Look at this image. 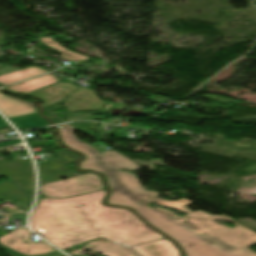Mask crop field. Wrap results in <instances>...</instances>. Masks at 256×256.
Instances as JSON below:
<instances>
[{"label": "crop field", "mask_w": 256, "mask_h": 256, "mask_svg": "<svg viewBox=\"0 0 256 256\" xmlns=\"http://www.w3.org/2000/svg\"><path fill=\"white\" fill-rule=\"evenodd\" d=\"M12 233V235H10ZM9 234L0 237V243L5 244L6 246L22 252L27 255H40L46 253L56 252L50 245L43 241L31 242L27 238L34 236L28 229H16ZM27 241L30 245L23 243L22 241Z\"/></svg>", "instance_id": "dd49c442"}, {"label": "crop field", "mask_w": 256, "mask_h": 256, "mask_svg": "<svg viewBox=\"0 0 256 256\" xmlns=\"http://www.w3.org/2000/svg\"><path fill=\"white\" fill-rule=\"evenodd\" d=\"M90 245H94V246H96V248L92 249V248L89 247ZM85 246L87 247V249H92L96 252H99L101 250L108 249L110 247L116 246V244H113V243H110V242H105V241H92V242L86 244Z\"/></svg>", "instance_id": "733c2abd"}, {"label": "crop field", "mask_w": 256, "mask_h": 256, "mask_svg": "<svg viewBox=\"0 0 256 256\" xmlns=\"http://www.w3.org/2000/svg\"><path fill=\"white\" fill-rule=\"evenodd\" d=\"M16 201L20 200L28 207L31 206L32 197L22 190L19 185L13 181L0 183V201Z\"/></svg>", "instance_id": "5a996713"}, {"label": "crop field", "mask_w": 256, "mask_h": 256, "mask_svg": "<svg viewBox=\"0 0 256 256\" xmlns=\"http://www.w3.org/2000/svg\"><path fill=\"white\" fill-rule=\"evenodd\" d=\"M60 157L58 159H53L50 161L37 162L39 172L42 173L40 176V183H48L52 181L60 180L55 174L58 173L62 177L70 178L74 176H78L85 173L73 172L65 167L66 164L75 161L79 158L78 155L68 151L61 150Z\"/></svg>", "instance_id": "f4fd0767"}, {"label": "crop field", "mask_w": 256, "mask_h": 256, "mask_svg": "<svg viewBox=\"0 0 256 256\" xmlns=\"http://www.w3.org/2000/svg\"><path fill=\"white\" fill-rule=\"evenodd\" d=\"M132 248L140 256H179V250L166 239L133 246Z\"/></svg>", "instance_id": "d8731c3e"}, {"label": "crop field", "mask_w": 256, "mask_h": 256, "mask_svg": "<svg viewBox=\"0 0 256 256\" xmlns=\"http://www.w3.org/2000/svg\"><path fill=\"white\" fill-rule=\"evenodd\" d=\"M109 165L117 169L139 170L140 166L116 151L103 152Z\"/></svg>", "instance_id": "cbeb9de0"}, {"label": "crop field", "mask_w": 256, "mask_h": 256, "mask_svg": "<svg viewBox=\"0 0 256 256\" xmlns=\"http://www.w3.org/2000/svg\"><path fill=\"white\" fill-rule=\"evenodd\" d=\"M105 194L43 198L31 216L32 227L63 250L100 236L129 246L163 238L129 210L102 206Z\"/></svg>", "instance_id": "ac0d7876"}, {"label": "crop field", "mask_w": 256, "mask_h": 256, "mask_svg": "<svg viewBox=\"0 0 256 256\" xmlns=\"http://www.w3.org/2000/svg\"><path fill=\"white\" fill-rule=\"evenodd\" d=\"M51 144H55L54 141H40V142L28 143L29 147L39 146V145H51Z\"/></svg>", "instance_id": "bc2a9ffb"}, {"label": "crop field", "mask_w": 256, "mask_h": 256, "mask_svg": "<svg viewBox=\"0 0 256 256\" xmlns=\"http://www.w3.org/2000/svg\"><path fill=\"white\" fill-rule=\"evenodd\" d=\"M64 144L85 154L80 169H92L104 174L112 188L108 204L131 207L149 224L174 239L186 252V256H256L248 247L256 244V233L227 216L210 215L198 210L192 213L183 199L175 202L160 200L157 192L145 191L137 179L125 172L106 165L102 155L77 138L68 125L59 126ZM156 202L187 212L178 217L167 209L152 208L147 203ZM223 219L236 225L230 228L212 220Z\"/></svg>", "instance_id": "8a807250"}, {"label": "crop field", "mask_w": 256, "mask_h": 256, "mask_svg": "<svg viewBox=\"0 0 256 256\" xmlns=\"http://www.w3.org/2000/svg\"><path fill=\"white\" fill-rule=\"evenodd\" d=\"M37 42L38 44L45 45L47 47L55 49L57 52L61 53V56H60L61 58L69 61H74V60L80 61L84 59H90L89 57H86L65 49L59 43L55 42L53 37H50L40 31L38 33Z\"/></svg>", "instance_id": "d1516ede"}, {"label": "crop field", "mask_w": 256, "mask_h": 256, "mask_svg": "<svg viewBox=\"0 0 256 256\" xmlns=\"http://www.w3.org/2000/svg\"><path fill=\"white\" fill-rule=\"evenodd\" d=\"M8 127L7 124L0 119V128H6Z\"/></svg>", "instance_id": "92a150f3"}, {"label": "crop field", "mask_w": 256, "mask_h": 256, "mask_svg": "<svg viewBox=\"0 0 256 256\" xmlns=\"http://www.w3.org/2000/svg\"><path fill=\"white\" fill-rule=\"evenodd\" d=\"M4 252H6L9 256H24L22 254H19L17 252H14L6 247L1 248ZM40 256H64L60 253H53V254H46V255H40Z\"/></svg>", "instance_id": "4a817a6b"}, {"label": "crop field", "mask_w": 256, "mask_h": 256, "mask_svg": "<svg viewBox=\"0 0 256 256\" xmlns=\"http://www.w3.org/2000/svg\"><path fill=\"white\" fill-rule=\"evenodd\" d=\"M105 256H137L130 248L119 246L102 253Z\"/></svg>", "instance_id": "d9b57169"}, {"label": "crop field", "mask_w": 256, "mask_h": 256, "mask_svg": "<svg viewBox=\"0 0 256 256\" xmlns=\"http://www.w3.org/2000/svg\"><path fill=\"white\" fill-rule=\"evenodd\" d=\"M11 120L20 130L48 125L38 113L12 118Z\"/></svg>", "instance_id": "5142ce71"}, {"label": "crop field", "mask_w": 256, "mask_h": 256, "mask_svg": "<svg viewBox=\"0 0 256 256\" xmlns=\"http://www.w3.org/2000/svg\"><path fill=\"white\" fill-rule=\"evenodd\" d=\"M20 142H21V140H15V141H10V142H6V143H1L0 147L11 145V144H16V143H20Z\"/></svg>", "instance_id": "214f88e0"}, {"label": "crop field", "mask_w": 256, "mask_h": 256, "mask_svg": "<svg viewBox=\"0 0 256 256\" xmlns=\"http://www.w3.org/2000/svg\"><path fill=\"white\" fill-rule=\"evenodd\" d=\"M0 110L9 118L35 113V108L0 94Z\"/></svg>", "instance_id": "28ad6ade"}, {"label": "crop field", "mask_w": 256, "mask_h": 256, "mask_svg": "<svg viewBox=\"0 0 256 256\" xmlns=\"http://www.w3.org/2000/svg\"><path fill=\"white\" fill-rule=\"evenodd\" d=\"M5 175H10L13 179L21 182L24 189L32 192L34 173L29 156L0 163V177Z\"/></svg>", "instance_id": "e52e79f7"}, {"label": "crop field", "mask_w": 256, "mask_h": 256, "mask_svg": "<svg viewBox=\"0 0 256 256\" xmlns=\"http://www.w3.org/2000/svg\"><path fill=\"white\" fill-rule=\"evenodd\" d=\"M45 72L47 71L40 69L38 67H28L23 70H19L16 72H12V73L0 76V84H3V85L12 84V83L31 78Z\"/></svg>", "instance_id": "22f410ed"}, {"label": "crop field", "mask_w": 256, "mask_h": 256, "mask_svg": "<svg viewBox=\"0 0 256 256\" xmlns=\"http://www.w3.org/2000/svg\"><path fill=\"white\" fill-rule=\"evenodd\" d=\"M59 80H55V76L51 74H47L35 79H31L25 82H21L15 85L8 86L6 89L13 92H20L23 94H27L33 92L41 87H45L51 84H54Z\"/></svg>", "instance_id": "3316defc"}, {"label": "crop field", "mask_w": 256, "mask_h": 256, "mask_svg": "<svg viewBox=\"0 0 256 256\" xmlns=\"http://www.w3.org/2000/svg\"><path fill=\"white\" fill-rule=\"evenodd\" d=\"M92 62H95V63L100 64V65L103 64V61H100V60H95V61H92Z\"/></svg>", "instance_id": "dafd665d"}, {"label": "crop field", "mask_w": 256, "mask_h": 256, "mask_svg": "<svg viewBox=\"0 0 256 256\" xmlns=\"http://www.w3.org/2000/svg\"><path fill=\"white\" fill-rule=\"evenodd\" d=\"M77 87L79 86L61 81L53 86L45 87L33 93L27 94V96L44 101V108L52 103L64 99ZM85 93L88 95L85 96ZM68 98L69 100H65V107L67 111H99L105 104V102L100 101V99L95 96V92L84 87L78 88ZM86 100L89 101L86 102Z\"/></svg>", "instance_id": "34b2d1b8"}, {"label": "crop field", "mask_w": 256, "mask_h": 256, "mask_svg": "<svg viewBox=\"0 0 256 256\" xmlns=\"http://www.w3.org/2000/svg\"><path fill=\"white\" fill-rule=\"evenodd\" d=\"M106 63H109V62H106ZM110 64H112L113 66H115L116 68H118L119 70H124L123 68H120L119 66H117V65H115V64H113V63H110Z\"/></svg>", "instance_id": "00972430"}, {"label": "crop field", "mask_w": 256, "mask_h": 256, "mask_svg": "<svg viewBox=\"0 0 256 256\" xmlns=\"http://www.w3.org/2000/svg\"><path fill=\"white\" fill-rule=\"evenodd\" d=\"M104 189L100 178L88 173L65 181L41 185L42 194L48 197L61 198Z\"/></svg>", "instance_id": "412701ff"}]
</instances>
